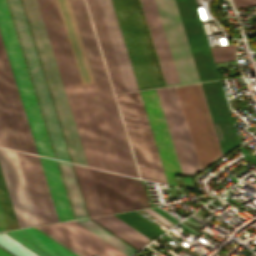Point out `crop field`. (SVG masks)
Segmentation results:
<instances>
[{"mask_svg":"<svg viewBox=\"0 0 256 256\" xmlns=\"http://www.w3.org/2000/svg\"><path fill=\"white\" fill-rule=\"evenodd\" d=\"M127 91L138 90L110 0H99Z\"/></svg>","mask_w":256,"mask_h":256,"instance_id":"crop-field-19","label":"crop field"},{"mask_svg":"<svg viewBox=\"0 0 256 256\" xmlns=\"http://www.w3.org/2000/svg\"><path fill=\"white\" fill-rule=\"evenodd\" d=\"M199 170L222 155L200 83L174 87ZM173 87L164 88L191 176L199 172Z\"/></svg>","mask_w":256,"mask_h":256,"instance_id":"crop-field-3","label":"crop field"},{"mask_svg":"<svg viewBox=\"0 0 256 256\" xmlns=\"http://www.w3.org/2000/svg\"><path fill=\"white\" fill-rule=\"evenodd\" d=\"M16 152L0 148V166L20 228L38 225Z\"/></svg>","mask_w":256,"mask_h":256,"instance_id":"crop-field-12","label":"crop field"},{"mask_svg":"<svg viewBox=\"0 0 256 256\" xmlns=\"http://www.w3.org/2000/svg\"><path fill=\"white\" fill-rule=\"evenodd\" d=\"M95 82L109 81L84 0H70Z\"/></svg>","mask_w":256,"mask_h":256,"instance_id":"crop-field-17","label":"crop field"},{"mask_svg":"<svg viewBox=\"0 0 256 256\" xmlns=\"http://www.w3.org/2000/svg\"><path fill=\"white\" fill-rule=\"evenodd\" d=\"M140 176L167 183L140 93L116 96Z\"/></svg>","mask_w":256,"mask_h":256,"instance_id":"crop-field-8","label":"crop field"},{"mask_svg":"<svg viewBox=\"0 0 256 256\" xmlns=\"http://www.w3.org/2000/svg\"><path fill=\"white\" fill-rule=\"evenodd\" d=\"M89 169L104 214L141 208L132 178Z\"/></svg>","mask_w":256,"mask_h":256,"instance_id":"crop-field-11","label":"crop field"},{"mask_svg":"<svg viewBox=\"0 0 256 256\" xmlns=\"http://www.w3.org/2000/svg\"><path fill=\"white\" fill-rule=\"evenodd\" d=\"M40 157L47 184L51 193L54 207L59 221L74 219L65 193V189L58 171L56 161Z\"/></svg>","mask_w":256,"mask_h":256,"instance_id":"crop-field-20","label":"crop field"},{"mask_svg":"<svg viewBox=\"0 0 256 256\" xmlns=\"http://www.w3.org/2000/svg\"><path fill=\"white\" fill-rule=\"evenodd\" d=\"M115 93L125 87L98 0H86Z\"/></svg>","mask_w":256,"mask_h":256,"instance_id":"crop-field-18","label":"crop field"},{"mask_svg":"<svg viewBox=\"0 0 256 256\" xmlns=\"http://www.w3.org/2000/svg\"><path fill=\"white\" fill-rule=\"evenodd\" d=\"M17 155L38 224L41 225L58 221L39 158L21 152H17Z\"/></svg>","mask_w":256,"mask_h":256,"instance_id":"crop-field-14","label":"crop field"},{"mask_svg":"<svg viewBox=\"0 0 256 256\" xmlns=\"http://www.w3.org/2000/svg\"><path fill=\"white\" fill-rule=\"evenodd\" d=\"M144 211L147 212L148 214H150L151 216H153L154 218H156L158 221H160L161 223H163L164 225H166L169 228L174 225L150 209H145Z\"/></svg>","mask_w":256,"mask_h":256,"instance_id":"crop-field-30","label":"crop field"},{"mask_svg":"<svg viewBox=\"0 0 256 256\" xmlns=\"http://www.w3.org/2000/svg\"><path fill=\"white\" fill-rule=\"evenodd\" d=\"M58 161V160H57ZM70 205L75 219L88 217L80 190L70 163L58 161Z\"/></svg>","mask_w":256,"mask_h":256,"instance_id":"crop-field-22","label":"crop field"},{"mask_svg":"<svg viewBox=\"0 0 256 256\" xmlns=\"http://www.w3.org/2000/svg\"><path fill=\"white\" fill-rule=\"evenodd\" d=\"M92 219L137 250L151 241L113 215L93 217Z\"/></svg>","mask_w":256,"mask_h":256,"instance_id":"crop-field-21","label":"crop field"},{"mask_svg":"<svg viewBox=\"0 0 256 256\" xmlns=\"http://www.w3.org/2000/svg\"><path fill=\"white\" fill-rule=\"evenodd\" d=\"M124 174L139 177L109 82L96 84Z\"/></svg>","mask_w":256,"mask_h":256,"instance_id":"crop-field-16","label":"crop field"},{"mask_svg":"<svg viewBox=\"0 0 256 256\" xmlns=\"http://www.w3.org/2000/svg\"><path fill=\"white\" fill-rule=\"evenodd\" d=\"M37 228L78 256H126L75 221Z\"/></svg>","mask_w":256,"mask_h":256,"instance_id":"crop-field-10","label":"crop field"},{"mask_svg":"<svg viewBox=\"0 0 256 256\" xmlns=\"http://www.w3.org/2000/svg\"><path fill=\"white\" fill-rule=\"evenodd\" d=\"M138 88L162 87L136 0H111Z\"/></svg>","mask_w":256,"mask_h":256,"instance_id":"crop-field-7","label":"crop field"},{"mask_svg":"<svg viewBox=\"0 0 256 256\" xmlns=\"http://www.w3.org/2000/svg\"><path fill=\"white\" fill-rule=\"evenodd\" d=\"M0 256H11V255H9L8 253L0 249Z\"/></svg>","mask_w":256,"mask_h":256,"instance_id":"crop-field-32","label":"crop field"},{"mask_svg":"<svg viewBox=\"0 0 256 256\" xmlns=\"http://www.w3.org/2000/svg\"><path fill=\"white\" fill-rule=\"evenodd\" d=\"M0 213L6 230L19 228L0 169Z\"/></svg>","mask_w":256,"mask_h":256,"instance_id":"crop-field-27","label":"crop field"},{"mask_svg":"<svg viewBox=\"0 0 256 256\" xmlns=\"http://www.w3.org/2000/svg\"><path fill=\"white\" fill-rule=\"evenodd\" d=\"M2 230H5V229H4L3 222H2V219L0 216V231H2Z\"/></svg>","mask_w":256,"mask_h":256,"instance_id":"crop-field-33","label":"crop field"},{"mask_svg":"<svg viewBox=\"0 0 256 256\" xmlns=\"http://www.w3.org/2000/svg\"><path fill=\"white\" fill-rule=\"evenodd\" d=\"M169 184L176 185L171 175H182L166 126L156 90L140 92Z\"/></svg>","mask_w":256,"mask_h":256,"instance_id":"crop-field-13","label":"crop field"},{"mask_svg":"<svg viewBox=\"0 0 256 256\" xmlns=\"http://www.w3.org/2000/svg\"><path fill=\"white\" fill-rule=\"evenodd\" d=\"M74 165V164H73ZM84 202L89 216L103 214L92 182L89 169L74 165Z\"/></svg>","mask_w":256,"mask_h":256,"instance_id":"crop-field-23","label":"crop field"},{"mask_svg":"<svg viewBox=\"0 0 256 256\" xmlns=\"http://www.w3.org/2000/svg\"><path fill=\"white\" fill-rule=\"evenodd\" d=\"M0 127L7 147L37 154L1 37Z\"/></svg>","mask_w":256,"mask_h":256,"instance_id":"crop-field-9","label":"crop field"},{"mask_svg":"<svg viewBox=\"0 0 256 256\" xmlns=\"http://www.w3.org/2000/svg\"><path fill=\"white\" fill-rule=\"evenodd\" d=\"M156 90H157L158 97H159V100H160V103H161V106L163 109V113H164V116H165V119L167 122L168 129H169V132H170V135L172 138V142H173V145H174V148L176 151V155H177L180 167H181L182 174L190 175L185 158H184V154H183V151H182V148L180 145V141H179V138L177 135V131H176V128H175V125L173 122V118H172V115H171V112L169 109V105H168V102H167V99L165 96L164 89L161 88V89H156Z\"/></svg>","mask_w":256,"mask_h":256,"instance_id":"crop-field-24","label":"crop field"},{"mask_svg":"<svg viewBox=\"0 0 256 256\" xmlns=\"http://www.w3.org/2000/svg\"><path fill=\"white\" fill-rule=\"evenodd\" d=\"M236 7L256 5V0H233Z\"/></svg>","mask_w":256,"mask_h":256,"instance_id":"crop-field-31","label":"crop field"},{"mask_svg":"<svg viewBox=\"0 0 256 256\" xmlns=\"http://www.w3.org/2000/svg\"><path fill=\"white\" fill-rule=\"evenodd\" d=\"M235 45L211 48L215 62L235 59Z\"/></svg>","mask_w":256,"mask_h":256,"instance_id":"crop-field-28","label":"crop field"},{"mask_svg":"<svg viewBox=\"0 0 256 256\" xmlns=\"http://www.w3.org/2000/svg\"><path fill=\"white\" fill-rule=\"evenodd\" d=\"M55 157L70 161L21 0H7ZM71 162V161H70Z\"/></svg>","mask_w":256,"mask_h":256,"instance_id":"crop-field-6","label":"crop field"},{"mask_svg":"<svg viewBox=\"0 0 256 256\" xmlns=\"http://www.w3.org/2000/svg\"><path fill=\"white\" fill-rule=\"evenodd\" d=\"M77 222L128 256L136 251L133 248H131L130 246H128L126 243H124L123 241H121L120 239H118L117 237L112 235L110 232H108L107 230H105L104 228H102L101 226L96 224L94 221H92L89 218L77 220Z\"/></svg>","mask_w":256,"mask_h":256,"instance_id":"crop-field-26","label":"crop field"},{"mask_svg":"<svg viewBox=\"0 0 256 256\" xmlns=\"http://www.w3.org/2000/svg\"><path fill=\"white\" fill-rule=\"evenodd\" d=\"M115 216L151 240L164 232L135 211L115 214Z\"/></svg>","mask_w":256,"mask_h":256,"instance_id":"crop-field-25","label":"crop field"},{"mask_svg":"<svg viewBox=\"0 0 256 256\" xmlns=\"http://www.w3.org/2000/svg\"><path fill=\"white\" fill-rule=\"evenodd\" d=\"M42 256H76L34 228L7 231ZM5 232L0 233V248L12 256H40Z\"/></svg>","mask_w":256,"mask_h":256,"instance_id":"crop-field-15","label":"crop field"},{"mask_svg":"<svg viewBox=\"0 0 256 256\" xmlns=\"http://www.w3.org/2000/svg\"><path fill=\"white\" fill-rule=\"evenodd\" d=\"M46 1L48 4V7H49V11H50L53 23H54V27H55V30H56V33H57V36L59 39V43H60L64 58H65V62H66V65H67V68H68V71L70 74V78H71V81H72V84H73V87L75 90V94H76V97H77V100H78V103H79V106L81 109V113H82V116H83V119H84V122L86 125V129H87L90 141H91V145H92L95 157H96L98 167L101 169L113 171L107 151H106V147H105L102 135H101V131H100L97 119H96V115H95V112H94V109L92 106V102H91V99H90V96H89V93L87 90V86H86V83H85V80H84V77L82 74V70H81V67H80V64H79V61L77 58V54H76V51H75V48L73 45V41H72L69 29H68V25H67L64 13H63V9H62L60 0H46ZM62 3L64 6V9H65V13H66L69 25H70V29H71L74 41H75V45H76V48H77V51L79 54V58H80V61H81V64H82V67L84 70V74H85V77H86V80H87V83L89 86V90H90V93H91V96H92V99L94 102V106H95V109H96V112L98 115V119H99V122H100V125L102 128V131H103V135H104L107 147H108V151H109L112 163H113L114 170L122 173L121 166H120V163H119V160L117 157V153H116V150H115L108 126H107V122H106L102 107H101L102 106L101 101H100V98H99V95L97 92V88H96V85H95V82L93 79V75H92V72H91V69H90V66L88 63V59H87V56H86V53H85V50L83 47V43H82L79 31H78V27H77V24H76L74 15H73V11H72L70 2H69V0H62ZM38 4L40 7L42 16H43V20H44V23H45V26H46V29L48 32V36H49V39H50V42H51V45L53 48V52H54V55H55V58H56V61L58 64L59 71H60V74H61V77L63 80V84H64V87L66 90V94H67V97L69 100L72 114H73L75 123L78 128V132H79V135H80V138L82 141V145H83L86 157H87L88 164L91 166L97 167L90 144H89V140H88L85 128H84V124H83V121H82V118H81V115L79 112V108H78V105H77V102H76V99H75V96L73 93V89H72V86H71V83H70V80L68 77V73H67L64 61H63V57H62V54H61V51H60V48H59V45L57 42V38H56L54 29L52 26V22H51V19H50L48 10H47L45 0H38Z\"/></svg>","mask_w":256,"mask_h":256,"instance_id":"crop-field-1","label":"crop field"},{"mask_svg":"<svg viewBox=\"0 0 256 256\" xmlns=\"http://www.w3.org/2000/svg\"><path fill=\"white\" fill-rule=\"evenodd\" d=\"M166 86L200 81L174 0H139Z\"/></svg>","mask_w":256,"mask_h":256,"instance_id":"crop-field-2","label":"crop field"},{"mask_svg":"<svg viewBox=\"0 0 256 256\" xmlns=\"http://www.w3.org/2000/svg\"><path fill=\"white\" fill-rule=\"evenodd\" d=\"M65 142L74 163L87 165L36 0H22Z\"/></svg>","mask_w":256,"mask_h":256,"instance_id":"crop-field-4","label":"crop field"},{"mask_svg":"<svg viewBox=\"0 0 256 256\" xmlns=\"http://www.w3.org/2000/svg\"><path fill=\"white\" fill-rule=\"evenodd\" d=\"M0 33L37 153L55 158L6 0H0Z\"/></svg>","mask_w":256,"mask_h":256,"instance_id":"crop-field-5","label":"crop field"},{"mask_svg":"<svg viewBox=\"0 0 256 256\" xmlns=\"http://www.w3.org/2000/svg\"><path fill=\"white\" fill-rule=\"evenodd\" d=\"M133 179H134L136 190H137V193H138V196H139L141 207L142 208L150 207L148 202H147V199H146V195H145V192H144L142 181L139 180V179H135V178H133Z\"/></svg>","mask_w":256,"mask_h":256,"instance_id":"crop-field-29","label":"crop field"}]
</instances>
